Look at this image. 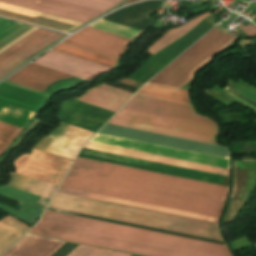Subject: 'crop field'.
<instances>
[{"label":"crop field","instance_id":"crop-field-13","mask_svg":"<svg viewBox=\"0 0 256 256\" xmlns=\"http://www.w3.org/2000/svg\"><path fill=\"white\" fill-rule=\"evenodd\" d=\"M72 77L36 64H29L7 80L43 91L59 79Z\"/></svg>","mask_w":256,"mask_h":256},{"label":"crop field","instance_id":"crop-field-37","mask_svg":"<svg viewBox=\"0 0 256 256\" xmlns=\"http://www.w3.org/2000/svg\"><path fill=\"white\" fill-rule=\"evenodd\" d=\"M136 1H139V0H128V1H126L124 4H122V5H125V4H129V3H133V2H136Z\"/></svg>","mask_w":256,"mask_h":256},{"label":"crop field","instance_id":"crop-field-28","mask_svg":"<svg viewBox=\"0 0 256 256\" xmlns=\"http://www.w3.org/2000/svg\"><path fill=\"white\" fill-rule=\"evenodd\" d=\"M91 27L97 28V29H101L113 34H117L123 37H127L130 38L132 40H134V38L139 35L142 31L139 30H135L126 26H122L110 21H106V20H99L98 22L94 23L93 25H91Z\"/></svg>","mask_w":256,"mask_h":256},{"label":"crop field","instance_id":"crop-field-7","mask_svg":"<svg viewBox=\"0 0 256 256\" xmlns=\"http://www.w3.org/2000/svg\"><path fill=\"white\" fill-rule=\"evenodd\" d=\"M71 161L32 149L14 161L17 172L59 185Z\"/></svg>","mask_w":256,"mask_h":256},{"label":"crop field","instance_id":"crop-field-29","mask_svg":"<svg viewBox=\"0 0 256 256\" xmlns=\"http://www.w3.org/2000/svg\"><path fill=\"white\" fill-rule=\"evenodd\" d=\"M22 128L0 122V150L5 151Z\"/></svg>","mask_w":256,"mask_h":256},{"label":"crop field","instance_id":"crop-field-11","mask_svg":"<svg viewBox=\"0 0 256 256\" xmlns=\"http://www.w3.org/2000/svg\"><path fill=\"white\" fill-rule=\"evenodd\" d=\"M22 7L85 22L101 11L57 1V0H0ZM73 20V21H74ZM77 21V22H78ZM81 22V23H82Z\"/></svg>","mask_w":256,"mask_h":256},{"label":"crop field","instance_id":"crop-field-3","mask_svg":"<svg viewBox=\"0 0 256 256\" xmlns=\"http://www.w3.org/2000/svg\"><path fill=\"white\" fill-rule=\"evenodd\" d=\"M123 108L218 127L213 121L194 114L190 106L158 99L135 95ZM124 109L108 123L217 145L218 128Z\"/></svg>","mask_w":256,"mask_h":256},{"label":"crop field","instance_id":"crop-field-6","mask_svg":"<svg viewBox=\"0 0 256 256\" xmlns=\"http://www.w3.org/2000/svg\"><path fill=\"white\" fill-rule=\"evenodd\" d=\"M91 142L229 169V159L96 134Z\"/></svg>","mask_w":256,"mask_h":256},{"label":"crop field","instance_id":"crop-field-33","mask_svg":"<svg viewBox=\"0 0 256 256\" xmlns=\"http://www.w3.org/2000/svg\"><path fill=\"white\" fill-rule=\"evenodd\" d=\"M236 27H238L240 30H242L249 36H256V28L251 24L246 27L240 24Z\"/></svg>","mask_w":256,"mask_h":256},{"label":"crop field","instance_id":"crop-field-16","mask_svg":"<svg viewBox=\"0 0 256 256\" xmlns=\"http://www.w3.org/2000/svg\"><path fill=\"white\" fill-rule=\"evenodd\" d=\"M132 95L133 93L102 84L75 99L116 112Z\"/></svg>","mask_w":256,"mask_h":256},{"label":"crop field","instance_id":"crop-field-38","mask_svg":"<svg viewBox=\"0 0 256 256\" xmlns=\"http://www.w3.org/2000/svg\"><path fill=\"white\" fill-rule=\"evenodd\" d=\"M107 1H111V2H115V3H119V2H121L122 0H107Z\"/></svg>","mask_w":256,"mask_h":256},{"label":"crop field","instance_id":"crop-field-9","mask_svg":"<svg viewBox=\"0 0 256 256\" xmlns=\"http://www.w3.org/2000/svg\"><path fill=\"white\" fill-rule=\"evenodd\" d=\"M0 16L67 32L81 22L0 2Z\"/></svg>","mask_w":256,"mask_h":256},{"label":"crop field","instance_id":"crop-field-26","mask_svg":"<svg viewBox=\"0 0 256 256\" xmlns=\"http://www.w3.org/2000/svg\"><path fill=\"white\" fill-rule=\"evenodd\" d=\"M62 42L116 59H119V57L122 55V52L117 50L73 36Z\"/></svg>","mask_w":256,"mask_h":256},{"label":"crop field","instance_id":"crop-field-20","mask_svg":"<svg viewBox=\"0 0 256 256\" xmlns=\"http://www.w3.org/2000/svg\"><path fill=\"white\" fill-rule=\"evenodd\" d=\"M73 36L97 42L122 52L131 41L129 39L119 37L90 27L81 30Z\"/></svg>","mask_w":256,"mask_h":256},{"label":"crop field","instance_id":"crop-field-22","mask_svg":"<svg viewBox=\"0 0 256 256\" xmlns=\"http://www.w3.org/2000/svg\"><path fill=\"white\" fill-rule=\"evenodd\" d=\"M51 33L52 31L44 30L41 28L37 29L9 49L2 52L0 54V66L4 65L5 63H7L8 61H10L11 59H13L14 57H16L17 55H19L20 53H22L23 51H25L26 49L39 42Z\"/></svg>","mask_w":256,"mask_h":256},{"label":"crop field","instance_id":"crop-field-8","mask_svg":"<svg viewBox=\"0 0 256 256\" xmlns=\"http://www.w3.org/2000/svg\"><path fill=\"white\" fill-rule=\"evenodd\" d=\"M66 126V124L61 123V125L51 132L47 137L42 138L39 142L33 147L40 151L46 152L52 139ZM94 133L81 130L72 126L67 125L52 141L48 152H52L58 155H62L68 158L74 159L78 153L80 147L89 140ZM47 152V153H48ZM50 153V154H52ZM53 154V155H55ZM56 155V156H58ZM59 156V157H62ZM62 157V158H65ZM65 158V159H68ZM72 159H68L71 160Z\"/></svg>","mask_w":256,"mask_h":256},{"label":"crop field","instance_id":"crop-field-31","mask_svg":"<svg viewBox=\"0 0 256 256\" xmlns=\"http://www.w3.org/2000/svg\"><path fill=\"white\" fill-rule=\"evenodd\" d=\"M61 1L69 2V3L101 10V11H104L112 7L113 5H115V3H111L103 0H61Z\"/></svg>","mask_w":256,"mask_h":256},{"label":"crop field","instance_id":"crop-field-39","mask_svg":"<svg viewBox=\"0 0 256 256\" xmlns=\"http://www.w3.org/2000/svg\"><path fill=\"white\" fill-rule=\"evenodd\" d=\"M3 151H0V156L2 155Z\"/></svg>","mask_w":256,"mask_h":256},{"label":"crop field","instance_id":"crop-field-19","mask_svg":"<svg viewBox=\"0 0 256 256\" xmlns=\"http://www.w3.org/2000/svg\"><path fill=\"white\" fill-rule=\"evenodd\" d=\"M58 191L218 223L217 218H212V217H207V216H202V215H196V214H191V213H186V212H181V211H176V210H171V209H166V208H161V207H155V206H150V205L125 201V200H120V199L104 197V196H99V195L80 192V191H76V190L66 189V188H62V187H59Z\"/></svg>","mask_w":256,"mask_h":256},{"label":"crop field","instance_id":"crop-field-30","mask_svg":"<svg viewBox=\"0 0 256 256\" xmlns=\"http://www.w3.org/2000/svg\"><path fill=\"white\" fill-rule=\"evenodd\" d=\"M113 251L80 245L77 249H75L69 256H110Z\"/></svg>","mask_w":256,"mask_h":256},{"label":"crop field","instance_id":"crop-field-15","mask_svg":"<svg viewBox=\"0 0 256 256\" xmlns=\"http://www.w3.org/2000/svg\"><path fill=\"white\" fill-rule=\"evenodd\" d=\"M48 96L0 83V102L37 113Z\"/></svg>","mask_w":256,"mask_h":256},{"label":"crop field","instance_id":"crop-field-40","mask_svg":"<svg viewBox=\"0 0 256 256\" xmlns=\"http://www.w3.org/2000/svg\"><path fill=\"white\" fill-rule=\"evenodd\" d=\"M256 246V245H255Z\"/></svg>","mask_w":256,"mask_h":256},{"label":"crop field","instance_id":"crop-field-36","mask_svg":"<svg viewBox=\"0 0 256 256\" xmlns=\"http://www.w3.org/2000/svg\"><path fill=\"white\" fill-rule=\"evenodd\" d=\"M112 254H113V253H112ZM112 254H111V255H112ZM112 256H134V255L115 252ZM135 256H138V255H135Z\"/></svg>","mask_w":256,"mask_h":256},{"label":"crop field","instance_id":"crop-field-17","mask_svg":"<svg viewBox=\"0 0 256 256\" xmlns=\"http://www.w3.org/2000/svg\"><path fill=\"white\" fill-rule=\"evenodd\" d=\"M63 242L26 234L2 256H48Z\"/></svg>","mask_w":256,"mask_h":256},{"label":"crop field","instance_id":"crop-field-21","mask_svg":"<svg viewBox=\"0 0 256 256\" xmlns=\"http://www.w3.org/2000/svg\"><path fill=\"white\" fill-rule=\"evenodd\" d=\"M28 228L23 223L7 216L0 220V254L19 239Z\"/></svg>","mask_w":256,"mask_h":256},{"label":"crop field","instance_id":"crop-field-2","mask_svg":"<svg viewBox=\"0 0 256 256\" xmlns=\"http://www.w3.org/2000/svg\"><path fill=\"white\" fill-rule=\"evenodd\" d=\"M29 232L146 256H232L224 245L48 210Z\"/></svg>","mask_w":256,"mask_h":256},{"label":"crop field","instance_id":"crop-field-25","mask_svg":"<svg viewBox=\"0 0 256 256\" xmlns=\"http://www.w3.org/2000/svg\"><path fill=\"white\" fill-rule=\"evenodd\" d=\"M63 36L62 33H57L54 32L51 35H49L48 37H46L45 39H43L42 41H40L39 43H37L36 45H34L33 47H31L30 49H28L27 51H25L24 53H22L21 55H19L18 57H16L15 59H13L12 61H10L9 63H7L6 65H4L3 67L0 68V77H2L3 75H5L6 73H8L10 70H12L13 68H15L18 64H20L21 62L25 61L26 59H28L30 56H32L34 53L38 52L39 50L43 49L44 47H46L48 44H50L51 42L61 38ZM19 66V65H18Z\"/></svg>","mask_w":256,"mask_h":256},{"label":"crop field","instance_id":"crop-field-1","mask_svg":"<svg viewBox=\"0 0 256 256\" xmlns=\"http://www.w3.org/2000/svg\"><path fill=\"white\" fill-rule=\"evenodd\" d=\"M61 186L217 218L229 190L79 157Z\"/></svg>","mask_w":256,"mask_h":256},{"label":"crop field","instance_id":"crop-field-5","mask_svg":"<svg viewBox=\"0 0 256 256\" xmlns=\"http://www.w3.org/2000/svg\"><path fill=\"white\" fill-rule=\"evenodd\" d=\"M235 38L215 27L148 83L181 87L210 61L214 53L226 47ZM137 93L190 104L187 91L183 90L146 84Z\"/></svg>","mask_w":256,"mask_h":256},{"label":"crop field","instance_id":"crop-field-4","mask_svg":"<svg viewBox=\"0 0 256 256\" xmlns=\"http://www.w3.org/2000/svg\"><path fill=\"white\" fill-rule=\"evenodd\" d=\"M49 208L223 241L218 224L56 192Z\"/></svg>","mask_w":256,"mask_h":256},{"label":"crop field","instance_id":"crop-field-27","mask_svg":"<svg viewBox=\"0 0 256 256\" xmlns=\"http://www.w3.org/2000/svg\"><path fill=\"white\" fill-rule=\"evenodd\" d=\"M54 48L59 49V50H63V51L69 52V53H73V54H76V55H79V56H82V57H86V58H89V59H92V60H95V61H99V62H102V63H105V64H109V65H112V66H114L115 63L117 62V60H115V59L108 58V57H105V56H102V55H98V54H95V53H92V52H88V51H85V50H82V49H78V48H75V47H72V46H68V45H65V44H62V43L58 44ZM56 49H54V50H56ZM59 50H56V51H59ZM63 51H59V52L66 53V52H63ZM69 53H66V54H69ZM73 54H69V55H72V56H75V57H78V58H81V59H85V60L100 64V65H104V66L112 68V66L105 65V64H102V63H99V62H95V61H92V60H89V59H86V58H82V57H79V56H76V55H73Z\"/></svg>","mask_w":256,"mask_h":256},{"label":"crop field","instance_id":"crop-field-23","mask_svg":"<svg viewBox=\"0 0 256 256\" xmlns=\"http://www.w3.org/2000/svg\"><path fill=\"white\" fill-rule=\"evenodd\" d=\"M35 113L0 103V121L25 128Z\"/></svg>","mask_w":256,"mask_h":256},{"label":"crop field","instance_id":"crop-field-18","mask_svg":"<svg viewBox=\"0 0 256 256\" xmlns=\"http://www.w3.org/2000/svg\"><path fill=\"white\" fill-rule=\"evenodd\" d=\"M11 181L10 186L46 197L51 199L55 192L57 185L47 183L29 176H25L16 172L10 173Z\"/></svg>","mask_w":256,"mask_h":256},{"label":"crop field","instance_id":"crop-field-10","mask_svg":"<svg viewBox=\"0 0 256 256\" xmlns=\"http://www.w3.org/2000/svg\"><path fill=\"white\" fill-rule=\"evenodd\" d=\"M34 62L36 64L46 66L87 80L92 79L97 74L109 70V68L102 67L54 51H50L44 54Z\"/></svg>","mask_w":256,"mask_h":256},{"label":"crop field","instance_id":"crop-field-14","mask_svg":"<svg viewBox=\"0 0 256 256\" xmlns=\"http://www.w3.org/2000/svg\"><path fill=\"white\" fill-rule=\"evenodd\" d=\"M84 147L229 176V170L227 169H222V168H217V167H212V166H207V165H202V164H197V163H192V162H187V161H182V160H177V159H172V158H167L162 156H156V155L126 150V149H121V148H116V147H111V146H106V145H101V144H96L91 142H88Z\"/></svg>","mask_w":256,"mask_h":256},{"label":"crop field","instance_id":"crop-field-35","mask_svg":"<svg viewBox=\"0 0 256 256\" xmlns=\"http://www.w3.org/2000/svg\"><path fill=\"white\" fill-rule=\"evenodd\" d=\"M21 23L16 24L15 26H13L12 28H10L9 30H7L6 32H4L3 34L0 35V38H2L3 36H5L6 34H8L9 32H11L12 30H14L15 28H17L18 26H20Z\"/></svg>","mask_w":256,"mask_h":256},{"label":"crop field","instance_id":"crop-field-24","mask_svg":"<svg viewBox=\"0 0 256 256\" xmlns=\"http://www.w3.org/2000/svg\"><path fill=\"white\" fill-rule=\"evenodd\" d=\"M208 14L210 13L202 14L197 18L193 19L192 21H190L189 23H187L186 25L178 29H174L166 32L163 37H161L149 48L148 53L151 55L155 54L156 52H158L159 50H161L162 48H164L165 46H167L168 44L176 40L178 37L186 33L192 27H194L197 23L203 20V18L206 17Z\"/></svg>","mask_w":256,"mask_h":256},{"label":"crop field","instance_id":"crop-field-34","mask_svg":"<svg viewBox=\"0 0 256 256\" xmlns=\"http://www.w3.org/2000/svg\"><path fill=\"white\" fill-rule=\"evenodd\" d=\"M16 22L0 19V34L15 25Z\"/></svg>","mask_w":256,"mask_h":256},{"label":"crop field","instance_id":"crop-field-12","mask_svg":"<svg viewBox=\"0 0 256 256\" xmlns=\"http://www.w3.org/2000/svg\"><path fill=\"white\" fill-rule=\"evenodd\" d=\"M0 195L18 201L22 212L12 210L2 204H0V209L19 217L27 223L35 222L49 202V199L7 186L0 187Z\"/></svg>","mask_w":256,"mask_h":256},{"label":"crop field","instance_id":"crop-field-32","mask_svg":"<svg viewBox=\"0 0 256 256\" xmlns=\"http://www.w3.org/2000/svg\"><path fill=\"white\" fill-rule=\"evenodd\" d=\"M47 209L48 210H53V211H58V212H63V213H68V214H73V215H78V216H83V217H88V218H93V219H98V220H103V221H108V222L128 225V226H133V227H139V228H144V229H149V230H154V231H159V232H164V233H169V234H174V235H179V236H184V237H189V238H194V239H199V240H204V241H209V242H214V243H219V244H224L225 245V243H222V242H217V241H212V240H207V239H202V238H197V237H191V236H186V235H181V234H176V233H171V232H166V231H161V230H156V229H151V228H146V227H141V226H135V225L125 224V223H120V222H115V221H110V220H105V219H100V218H95V217H90V216H85V215H80V214H74V213H69V212L49 209V208H47Z\"/></svg>","mask_w":256,"mask_h":256}]
</instances>
